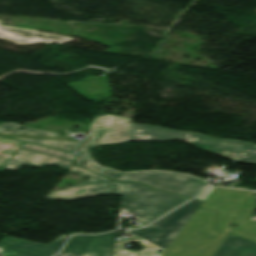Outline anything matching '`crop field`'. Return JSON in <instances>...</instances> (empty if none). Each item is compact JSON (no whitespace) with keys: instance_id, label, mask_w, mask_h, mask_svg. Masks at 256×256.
Here are the masks:
<instances>
[{"instance_id":"1","label":"crop field","mask_w":256,"mask_h":256,"mask_svg":"<svg viewBox=\"0 0 256 256\" xmlns=\"http://www.w3.org/2000/svg\"><path fill=\"white\" fill-rule=\"evenodd\" d=\"M218 211V230L256 241V228L250 218L256 211L253 192L214 188L200 206ZM235 223V228L230 224Z\"/></svg>"},{"instance_id":"2","label":"crop field","mask_w":256,"mask_h":256,"mask_svg":"<svg viewBox=\"0 0 256 256\" xmlns=\"http://www.w3.org/2000/svg\"><path fill=\"white\" fill-rule=\"evenodd\" d=\"M190 141L211 152L239 161L256 163V145L243 141L206 137L194 132L175 131L161 127L132 124L130 140Z\"/></svg>"},{"instance_id":"3","label":"crop field","mask_w":256,"mask_h":256,"mask_svg":"<svg viewBox=\"0 0 256 256\" xmlns=\"http://www.w3.org/2000/svg\"><path fill=\"white\" fill-rule=\"evenodd\" d=\"M215 221L216 212L198 208L162 256H212L227 236L215 231Z\"/></svg>"},{"instance_id":"4","label":"crop field","mask_w":256,"mask_h":256,"mask_svg":"<svg viewBox=\"0 0 256 256\" xmlns=\"http://www.w3.org/2000/svg\"><path fill=\"white\" fill-rule=\"evenodd\" d=\"M189 198L150 189L145 185L124 182L122 203L123 212L137 215L143 223L148 224ZM139 209L138 211H134Z\"/></svg>"},{"instance_id":"5","label":"crop field","mask_w":256,"mask_h":256,"mask_svg":"<svg viewBox=\"0 0 256 256\" xmlns=\"http://www.w3.org/2000/svg\"><path fill=\"white\" fill-rule=\"evenodd\" d=\"M131 121L130 118L96 114L79 153L91 157L94 146L129 141Z\"/></svg>"},{"instance_id":"6","label":"crop field","mask_w":256,"mask_h":256,"mask_svg":"<svg viewBox=\"0 0 256 256\" xmlns=\"http://www.w3.org/2000/svg\"><path fill=\"white\" fill-rule=\"evenodd\" d=\"M201 203L194 199L151 226L130 232L166 250Z\"/></svg>"},{"instance_id":"7","label":"crop field","mask_w":256,"mask_h":256,"mask_svg":"<svg viewBox=\"0 0 256 256\" xmlns=\"http://www.w3.org/2000/svg\"><path fill=\"white\" fill-rule=\"evenodd\" d=\"M69 172L88 176L89 179L66 189L50 192L45 199L74 200L98 195H121L123 183L111 181L74 164Z\"/></svg>"},{"instance_id":"8","label":"crop field","mask_w":256,"mask_h":256,"mask_svg":"<svg viewBox=\"0 0 256 256\" xmlns=\"http://www.w3.org/2000/svg\"><path fill=\"white\" fill-rule=\"evenodd\" d=\"M124 181L141 182L151 187L194 197L200 188L207 185L203 180L172 172L125 173Z\"/></svg>"},{"instance_id":"9","label":"crop field","mask_w":256,"mask_h":256,"mask_svg":"<svg viewBox=\"0 0 256 256\" xmlns=\"http://www.w3.org/2000/svg\"><path fill=\"white\" fill-rule=\"evenodd\" d=\"M114 232L103 235H74L58 256H112Z\"/></svg>"},{"instance_id":"10","label":"crop field","mask_w":256,"mask_h":256,"mask_svg":"<svg viewBox=\"0 0 256 256\" xmlns=\"http://www.w3.org/2000/svg\"><path fill=\"white\" fill-rule=\"evenodd\" d=\"M67 235H62L48 245H40L25 240L5 236L0 241V252L3 255L51 256L61 247Z\"/></svg>"},{"instance_id":"11","label":"crop field","mask_w":256,"mask_h":256,"mask_svg":"<svg viewBox=\"0 0 256 256\" xmlns=\"http://www.w3.org/2000/svg\"><path fill=\"white\" fill-rule=\"evenodd\" d=\"M0 38L12 42L16 45H24L36 41L52 43V42H66L71 41L72 38L37 32L35 30L15 28V27H0Z\"/></svg>"},{"instance_id":"12","label":"crop field","mask_w":256,"mask_h":256,"mask_svg":"<svg viewBox=\"0 0 256 256\" xmlns=\"http://www.w3.org/2000/svg\"><path fill=\"white\" fill-rule=\"evenodd\" d=\"M72 161L20 149L2 168L16 171L23 164L41 168L43 165H57L69 169Z\"/></svg>"},{"instance_id":"13","label":"crop field","mask_w":256,"mask_h":256,"mask_svg":"<svg viewBox=\"0 0 256 256\" xmlns=\"http://www.w3.org/2000/svg\"><path fill=\"white\" fill-rule=\"evenodd\" d=\"M16 127H24L17 123H10V122H1L0 125V133L4 134H20V135H36V136H52V137H59L58 133L37 130L26 127V130H17ZM23 140L32 141L38 144H42L45 146L73 152L78 142L72 141H60V140H47V139H28V138H18Z\"/></svg>"},{"instance_id":"14","label":"crop field","mask_w":256,"mask_h":256,"mask_svg":"<svg viewBox=\"0 0 256 256\" xmlns=\"http://www.w3.org/2000/svg\"><path fill=\"white\" fill-rule=\"evenodd\" d=\"M213 256H256V244L228 235Z\"/></svg>"},{"instance_id":"15","label":"crop field","mask_w":256,"mask_h":256,"mask_svg":"<svg viewBox=\"0 0 256 256\" xmlns=\"http://www.w3.org/2000/svg\"><path fill=\"white\" fill-rule=\"evenodd\" d=\"M139 240L140 239L115 242L114 256H161L165 251L143 239L141 241L142 245H140L141 247H143L141 251H131L123 248L124 242ZM159 250L163 251L161 255L158 254Z\"/></svg>"},{"instance_id":"16","label":"crop field","mask_w":256,"mask_h":256,"mask_svg":"<svg viewBox=\"0 0 256 256\" xmlns=\"http://www.w3.org/2000/svg\"><path fill=\"white\" fill-rule=\"evenodd\" d=\"M74 163L79 166H82L84 168H87L91 171H94L96 173H99L103 176H106L112 180L123 181L124 173H120V172L113 171L110 169H106L105 171H103V170H101L102 167L97 166L96 164H94L92 161H90L89 159H87L85 157L78 155V157Z\"/></svg>"},{"instance_id":"17","label":"crop field","mask_w":256,"mask_h":256,"mask_svg":"<svg viewBox=\"0 0 256 256\" xmlns=\"http://www.w3.org/2000/svg\"><path fill=\"white\" fill-rule=\"evenodd\" d=\"M24 142L0 136V168L20 149Z\"/></svg>"},{"instance_id":"18","label":"crop field","mask_w":256,"mask_h":256,"mask_svg":"<svg viewBox=\"0 0 256 256\" xmlns=\"http://www.w3.org/2000/svg\"><path fill=\"white\" fill-rule=\"evenodd\" d=\"M22 147L40 151V152H44V153L55 155V156H59V157L70 159V160L74 159V157H75V155L68 153V152L50 149V148H46V147H41V146H37V145H32V144H28V143H25Z\"/></svg>"},{"instance_id":"19","label":"crop field","mask_w":256,"mask_h":256,"mask_svg":"<svg viewBox=\"0 0 256 256\" xmlns=\"http://www.w3.org/2000/svg\"><path fill=\"white\" fill-rule=\"evenodd\" d=\"M213 187H207L202 190L201 194L197 197L198 199L205 200L209 193L212 191Z\"/></svg>"},{"instance_id":"20","label":"crop field","mask_w":256,"mask_h":256,"mask_svg":"<svg viewBox=\"0 0 256 256\" xmlns=\"http://www.w3.org/2000/svg\"><path fill=\"white\" fill-rule=\"evenodd\" d=\"M2 22H0V26H1Z\"/></svg>"}]
</instances>
